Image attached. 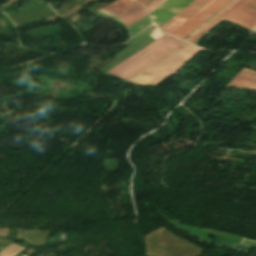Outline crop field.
Instances as JSON below:
<instances>
[{"instance_id":"1","label":"crop field","mask_w":256,"mask_h":256,"mask_svg":"<svg viewBox=\"0 0 256 256\" xmlns=\"http://www.w3.org/2000/svg\"><path fill=\"white\" fill-rule=\"evenodd\" d=\"M199 47L186 43L135 74L128 81L156 85L165 79L199 51Z\"/></svg>"},{"instance_id":"2","label":"crop field","mask_w":256,"mask_h":256,"mask_svg":"<svg viewBox=\"0 0 256 256\" xmlns=\"http://www.w3.org/2000/svg\"><path fill=\"white\" fill-rule=\"evenodd\" d=\"M182 43L183 42L179 40L165 35L148 47H144L145 49L141 50L131 58L127 59L117 67L113 68L108 73L127 80L135 73L142 70L143 68L156 61L163 55L167 54Z\"/></svg>"},{"instance_id":"3","label":"crop field","mask_w":256,"mask_h":256,"mask_svg":"<svg viewBox=\"0 0 256 256\" xmlns=\"http://www.w3.org/2000/svg\"><path fill=\"white\" fill-rule=\"evenodd\" d=\"M222 19L248 28L250 30L256 25V0H241L206 29L195 36L190 42L196 41Z\"/></svg>"},{"instance_id":"4","label":"crop field","mask_w":256,"mask_h":256,"mask_svg":"<svg viewBox=\"0 0 256 256\" xmlns=\"http://www.w3.org/2000/svg\"><path fill=\"white\" fill-rule=\"evenodd\" d=\"M228 1L229 0H213L197 14H195L191 19H189L186 23H184L181 27L171 33V35L182 39Z\"/></svg>"},{"instance_id":"5","label":"crop field","mask_w":256,"mask_h":256,"mask_svg":"<svg viewBox=\"0 0 256 256\" xmlns=\"http://www.w3.org/2000/svg\"><path fill=\"white\" fill-rule=\"evenodd\" d=\"M194 0H168L153 13L150 14L152 21L159 28L187 7Z\"/></svg>"},{"instance_id":"6","label":"crop field","mask_w":256,"mask_h":256,"mask_svg":"<svg viewBox=\"0 0 256 256\" xmlns=\"http://www.w3.org/2000/svg\"><path fill=\"white\" fill-rule=\"evenodd\" d=\"M211 0H195L192 4H190L186 9H184L181 13H179L176 17H174L171 21L165 24L160 29L164 32L170 34L177 27H179L182 23H184L187 19H189L192 15H194L197 11H199L202 7H204Z\"/></svg>"},{"instance_id":"7","label":"crop field","mask_w":256,"mask_h":256,"mask_svg":"<svg viewBox=\"0 0 256 256\" xmlns=\"http://www.w3.org/2000/svg\"><path fill=\"white\" fill-rule=\"evenodd\" d=\"M244 87L256 89V72L243 68L226 88Z\"/></svg>"},{"instance_id":"8","label":"crop field","mask_w":256,"mask_h":256,"mask_svg":"<svg viewBox=\"0 0 256 256\" xmlns=\"http://www.w3.org/2000/svg\"><path fill=\"white\" fill-rule=\"evenodd\" d=\"M138 3L132 2L131 0H118L106 7H104L103 9H106L108 11L114 12L116 14H123L124 12L128 11L129 9H131L132 7L136 6ZM97 10L99 12L105 13L107 15L113 16L115 18H117L119 15H116L114 13L108 12L106 10Z\"/></svg>"},{"instance_id":"9","label":"crop field","mask_w":256,"mask_h":256,"mask_svg":"<svg viewBox=\"0 0 256 256\" xmlns=\"http://www.w3.org/2000/svg\"><path fill=\"white\" fill-rule=\"evenodd\" d=\"M145 15H147V13L143 5L139 4L115 20L127 28Z\"/></svg>"},{"instance_id":"10","label":"crop field","mask_w":256,"mask_h":256,"mask_svg":"<svg viewBox=\"0 0 256 256\" xmlns=\"http://www.w3.org/2000/svg\"><path fill=\"white\" fill-rule=\"evenodd\" d=\"M238 1L239 0H231L227 5H225L222 9H220L217 13H215L212 17H210L207 21L200 25L196 30H194L191 34L184 38V40L189 41L190 39H192L195 35H197L200 31H202L205 27H207L210 23H212L215 19H217L220 15H222Z\"/></svg>"},{"instance_id":"11","label":"crop field","mask_w":256,"mask_h":256,"mask_svg":"<svg viewBox=\"0 0 256 256\" xmlns=\"http://www.w3.org/2000/svg\"><path fill=\"white\" fill-rule=\"evenodd\" d=\"M150 24L152 23L147 15L141 20H139L138 22H136L135 24H133L132 26H130L129 28H127L130 38L136 35L137 33H139L140 31H142L144 28H146Z\"/></svg>"},{"instance_id":"12","label":"crop field","mask_w":256,"mask_h":256,"mask_svg":"<svg viewBox=\"0 0 256 256\" xmlns=\"http://www.w3.org/2000/svg\"><path fill=\"white\" fill-rule=\"evenodd\" d=\"M24 249L25 248L20 247L16 244H11L0 251V256H14L15 254L21 252Z\"/></svg>"},{"instance_id":"13","label":"crop field","mask_w":256,"mask_h":256,"mask_svg":"<svg viewBox=\"0 0 256 256\" xmlns=\"http://www.w3.org/2000/svg\"><path fill=\"white\" fill-rule=\"evenodd\" d=\"M165 0H155L149 6L146 7L148 13L152 12L155 8H157L160 4H162Z\"/></svg>"},{"instance_id":"14","label":"crop field","mask_w":256,"mask_h":256,"mask_svg":"<svg viewBox=\"0 0 256 256\" xmlns=\"http://www.w3.org/2000/svg\"><path fill=\"white\" fill-rule=\"evenodd\" d=\"M240 243L248 245V246L256 247V241H252V240L242 238Z\"/></svg>"},{"instance_id":"15","label":"crop field","mask_w":256,"mask_h":256,"mask_svg":"<svg viewBox=\"0 0 256 256\" xmlns=\"http://www.w3.org/2000/svg\"><path fill=\"white\" fill-rule=\"evenodd\" d=\"M12 242H16V241H15V240L1 239V238H0V244H1V245H8V244H10V243H12Z\"/></svg>"},{"instance_id":"16","label":"crop field","mask_w":256,"mask_h":256,"mask_svg":"<svg viewBox=\"0 0 256 256\" xmlns=\"http://www.w3.org/2000/svg\"><path fill=\"white\" fill-rule=\"evenodd\" d=\"M137 1L142 2L144 4V6L146 7L147 5H149L154 0H137Z\"/></svg>"},{"instance_id":"17","label":"crop field","mask_w":256,"mask_h":256,"mask_svg":"<svg viewBox=\"0 0 256 256\" xmlns=\"http://www.w3.org/2000/svg\"><path fill=\"white\" fill-rule=\"evenodd\" d=\"M9 230H0V236L6 237Z\"/></svg>"},{"instance_id":"18","label":"crop field","mask_w":256,"mask_h":256,"mask_svg":"<svg viewBox=\"0 0 256 256\" xmlns=\"http://www.w3.org/2000/svg\"><path fill=\"white\" fill-rule=\"evenodd\" d=\"M3 248H4V247H1V246H0V250L3 249Z\"/></svg>"},{"instance_id":"19","label":"crop field","mask_w":256,"mask_h":256,"mask_svg":"<svg viewBox=\"0 0 256 256\" xmlns=\"http://www.w3.org/2000/svg\"><path fill=\"white\" fill-rule=\"evenodd\" d=\"M255 33H256V30H255Z\"/></svg>"},{"instance_id":"20","label":"crop field","mask_w":256,"mask_h":256,"mask_svg":"<svg viewBox=\"0 0 256 256\" xmlns=\"http://www.w3.org/2000/svg\"><path fill=\"white\" fill-rule=\"evenodd\" d=\"M22 256H24V255H22Z\"/></svg>"}]
</instances>
